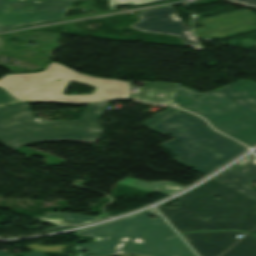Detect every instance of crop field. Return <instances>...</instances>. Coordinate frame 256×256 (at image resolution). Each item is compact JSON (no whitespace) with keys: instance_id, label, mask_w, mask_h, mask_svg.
<instances>
[{"instance_id":"crop-field-8","label":"crop field","mask_w":256,"mask_h":256,"mask_svg":"<svg viewBox=\"0 0 256 256\" xmlns=\"http://www.w3.org/2000/svg\"><path fill=\"white\" fill-rule=\"evenodd\" d=\"M71 4L58 0H0V31L7 27L63 18L65 6Z\"/></svg>"},{"instance_id":"crop-field-18","label":"crop field","mask_w":256,"mask_h":256,"mask_svg":"<svg viewBox=\"0 0 256 256\" xmlns=\"http://www.w3.org/2000/svg\"><path fill=\"white\" fill-rule=\"evenodd\" d=\"M233 3L242 4V5H249L256 7V0H227Z\"/></svg>"},{"instance_id":"crop-field-14","label":"crop field","mask_w":256,"mask_h":256,"mask_svg":"<svg viewBox=\"0 0 256 256\" xmlns=\"http://www.w3.org/2000/svg\"><path fill=\"white\" fill-rule=\"evenodd\" d=\"M178 110L179 109L170 106L166 110L162 111L161 113H159L158 115L154 116L153 118L149 119L148 121H146L145 123H143L141 125L149 128V127L153 126L154 124L158 123L159 121L163 120L164 118L170 116L171 114H173L174 112H176Z\"/></svg>"},{"instance_id":"crop-field-10","label":"crop field","mask_w":256,"mask_h":256,"mask_svg":"<svg viewBox=\"0 0 256 256\" xmlns=\"http://www.w3.org/2000/svg\"><path fill=\"white\" fill-rule=\"evenodd\" d=\"M214 179L256 199V191L251 187V183L256 181V160L252 154Z\"/></svg>"},{"instance_id":"crop-field-9","label":"crop field","mask_w":256,"mask_h":256,"mask_svg":"<svg viewBox=\"0 0 256 256\" xmlns=\"http://www.w3.org/2000/svg\"><path fill=\"white\" fill-rule=\"evenodd\" d=\"M172 13L171 6L139 12L142 19L131 26L142 31L178 35L186 46L202 49L181 21L171 20L169 14Z\"/></svg>"},{"instance_id":"crop-field-5","label":"crop field","mask_w":256,"mask_h":256,"mask_svg":"<svg viewBox=\"0 0 256 256\" xmlns=\"http://www.w3.org/2000/svg\"><path fill=\"white\" fill-rule=\"evenodd\" d=\"M106 105H87L79 121L34 118L28 102L5 105L0 108V140L10 149L33 141L93 143L104 132L98 118Z\"/></svg>"},{"instance_id":"crop-field-7","label":"crop field","mask_w":256,"mask_h":256,"mask_svg":"<svg viewBox=\"0 0 256 256\" xmlns=\"http://www.w3.org/2000/svg\"><path fill=\"white\" fill-rule=\"evenodd\" d=\"M239 234L243 236L235 238ZM182 236L199 256H256V236L250 233L192 232Z\"/></svg>"},{"instance_id":"crop-field-21","label":"crop field","mask_w":256,"mask_h":256,"mask_svg":"<svg viewBox=\"0 0 256 256\" xmlns=\"http://www.w3.org/2000/svg\"><path fill=\"white\" fill-rule=\"evenodd\" d=\"M70 1H77V0H70Z\"/></svg>"},{"instance_id":"crop-field-15","label":"crop field","mask_w":256,"mask_h":256,"mask_svg":"<svg viewBox=\"0 0 256 256\" xmlns=\"http://www.w3.org/2000/svg\"><path fill=\"white\" fill-rule=\"evenodd\" d=\"M156 1H161V0H108L110 9H114L115 5H120V4L139 5V4H145L150 2H156Z\"/></svg>"},{"instance_id":"crop-field-20","label":"crop field","mask_w":256,"mask_h":256,"mask_svg":"<svg viewBox=\"0 0 256 256\" xmlns=\"http://www.w3.org/2000/svg\"><path fill=\"white\" fill-rule=\"evenodd\" d=\"M171 17H172L173 20H177V19L175 18V14L171 15Z\"/></svg>"},{"instance_id":"crop-field-1","label":"crop field","mask_w":256,"mask_h":256,"mask_svg":"<svg viewBox=\"0 0 256 256\" xmlns=\"http://www.w3.org/2000/svg\"><path fill=\"white\" fill-rule=\"evenodd\" d=\"M149 210L151 211L75 231L77 235L94 239L91 243L75 244L73 247L78 251L76 256H90L91 253L96 256L119 253L196 256L155 209ZM148 214L159 219L149 218ZM83 249H88L89 252L83 255Z\"/></svg>"},{"instance_id":"crop-field-3","label":"crop field","mask_w":256,"mask_h":256,"mask_svg":"<svg viewBox=\"0 0 256 256\" xmlns=\"http://www.w3.org/2000/svg\"><path fill=\"white\" fill-rule=\"evenodd\" d=\"M169 104L205 117L214 128L250 147L256 144V83L242 81L206 94L176 84Z\"/></svg>"},{"instance_id":"crop-field-19","label":"crop field","mask_w":256,"mask_h":256,"mask_svg":"<svg viewBox=\"0 0 256 256\" xmlns=\"http://www.w3.org/2000/svg\"><path fill=\"white\" fill-rule=\"evenodd\" d=\"M0 256H9L6 253V249L0 251ZM26 256H42V253H40V252H32L31 254L26 255Z\"/></svg>"},{"instance_id":"crop-field-11","label":"crop field","mask_w":256,"mask_h":256,"mask_svg":"<svg viewBox=\"0 0 256 256\" xmlns=\"http://www.w3.org/2000/svg\"><path fill=\"white\" fill-rule=\"evenodd\" d=\"M173 83L147 82L144 84L138 100L149 103H167L174 89Z\"/></svg>"},{"instance_id":"crop-field-13","label":"crop field","mask_w":256,"mask_h":256,"mask_svg":"<svg viewBox=\"0 0 256 256\" xmlns=\"http://www.w3.org/2000/svg\"><path fill=\"white\" fill-rule=\"evenodd\" d=\"M105 214H101L98 217H87L81 214H71V213H48L44 216L36 217L49 221L55 225H64V224H77L85 223L89 221H94L102 218H107Z\"/></svg>"},{"instance_id":"crop-field-16","label":"crop field","mask_w":256,"mask_h":256,"mask_svg":"<svg viewBox=\"0 0 256 256\" xmlns=\"http://www.w3.org/2000/svg\"><path fill=\"white\" fill-rule=\"evenodd\" d=\"M66 245H58V246H42L39 244H32V245H27L25 247L30 248L32 250H38V251H54L57 253H62L63 252V247Z\"/></svg>"},{"instance_id":"crop-field-17","label":"crop field","mask_w":256,"mask_h":256,"mask_svg":"<svg viewBox=\"0 0 256 256\" xmlns=\"http://www.w3.org/2000/svg\"><path fill=\"white\" fill-rule=\"evenodd\" d=\"M17 99L14 98L11 94L5 91L3 88L0 87V104L16 101Z\"/></svg>"},{"instance_id":"crop-field-6","label":"crop field","mask_w":256,"mask_h":256,"mask_svg":"<svg viewBox=\"0 0 256 256\" xmlns=\"http://www.w3.org/2000/svg\"><path fill=\"white\" fill-rule=\"evenodd\" d=\"M70 80L96 88L92 94L63 95ZM0 86L18 100L87 103L113 98H129L130 83L95 78L51 62L42 72L6 74L0 78Z\"/></svg>"},{"instance_id":"crop-field-12","label":"crop field","mask_w":256,"mask_h":256,"mask_svg":"<svg viewBox=\"0 0 256 256\" xmlns=\"http://www.w3.org/2000/svg\"><path fill=\"white\" fill-rule=\"evenodd\" d=\"M118 184L131 186L139 189L155 191L166 195L172 194L184 187L178 186L170 181H159L146 183L139 180L126 177L124 180L118 182Z\"/></svg>"},{"instance_id":"crop-field-4","label":"crop field","mask_w":256,"mask_h":256,"mask_svg":"<svg viewBox=\"0 0 256 256\" xmlns=\"http://www.w3.org/2000/svg\"><path fill=\"white\" fill-rule=\"evenodd\" d=\"M149 129L159 134L170 133L174 139L162 145H169L167 148L179 155L175 161L205 175L247 150L213 131L200 117L183 110Z\"/></svg>"},{"instance_id":"crop-field-2","label":"crop field","mask_w":256,"mask_h":256,"mask_svg":"<svg viewBox=\"0 0 256 256\" xmlns=\"http://www.w3.org/2000/svg\"><path fill=\"white\" fill-rule=\"evenodd\" d=\"M177 203V208L160 205L157 209L179 233L212 229L256 233V200L213 179L179 196ZM203 216L208 218L202 220Z\"/></svg>"}]
</instances>
